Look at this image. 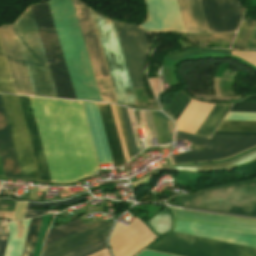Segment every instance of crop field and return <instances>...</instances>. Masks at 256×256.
<instances>
[{"label": "crop field", "mask_w": 256, "mask_h": 256, "mask_svg": "<svg viewBox=\"0 0 256 256\" xmlns=\"http://www.w3.org/2000/svg\"><path fill=\"white\" fill-rule=\"evenodd\" d=\"M230 111L256 112V104L235 103Z\"/></svg>", "instance_id": "crop-field-33"}, {"label": "crop field", "mask_w": 256, "mask_h": 256, "mask_svg": "<svg viewBox=\"0 0 256 256\" xmlns=\"http://www.w3.org/2000/svg\"><path fill=\"white\" fill-rule=\"evenodd\" d=\"M59 98L76 99L48 3L31 6Z\"/></svg>", "instance_id": "crop-field-7"}, {"label": "crop field", "mask_w": 256, "mask_h": 256, "mask_svg": "<svg viewBox=\"0 0 256 256\" xmlns=\"http://www.w3.org/2000/svg\"><path fill=\"white\" fill-rule=\"evenodd\" d=\"M48 3L76 98L101 102L71 0Z\"/></svg>", "instance_id": "crop-field-2"}, {"label": "crop field", "mask_w": 256, "mask_h": 256, "mask_svg": "<svg viewBox=\"0 0 256 256\" xmlns=\"http://www.w3.org/2000/svg\"><path fill=\"white\" fill-rule=\"evenodd\" d=\"M148 250L180 256H256V249L172 232Z\"/></svg>", "instance_id": "crop-field-8"}, {"label": "crop field", "mask_w": 256, "mask_h": 256, "mask_svg": "<svg viewBox=\"0 0 256 256\" xmlns=\"http://www.w3.org/2000/svg\"><path fill=\"white\" fill-rule=\"evenodd\" d=\"M110 105H111L112 113H113V116H114L115 124H116V127H117V131H118V134H119L120 142H121V145H122L124 157L128 158L125 143H124L122 132H121V128H120L118 117H117V114H116L115 106L112 105V104H110Z\"/></svg>", "instance_id": "crop-field-32"}, {"label": "crop field", "mask_w": 256, "mask_h": 256, "mask_svg": "<svg viewBox=\"0 0 256 256\" xmlns=\"http://www.w3.org/2000/svg\"><path fill=\"white\" fill-rule=\"evenodd\" d=\"M17 154L22 177L39 179L18 97L0 94Z\"/></svg>", "instance_id": "crop-field-10"}, {"label": "crop field", "mask_w": 256, "mask_h": 256, "mask_svg": "<svg viewBox=\"0 0 256 256\" xmlns=\"http://www.w3.org/2000/svg\"><path fill=\"white\" fill-rule=\"evenodd\" d=\"M86 199L87 197L84 196V197L72 198V199H68L60 202L43 203V204H35V203L28 202L24 218L47 213L46 211L29 210L30 207H55V206H61L66 204L80 203Z\"/></svg>", "instance_id": "crop-field-27"}, {"label": "crop field", "mask_w": 256, "mask_h": 256, "mask_svg": "<svg viewBox=\"0 0 256 256\" xmlns=\"http://www.w3.org/2000/svg\"><path fill=\"white\" fill-rule=\"evenodd\" d=\"M111 223L101 221L44 246L42 256H63L107 236Z\"/></svg>", "instance_id": "crop-field-13"}, {"label": "crop field", "mask_w": 256, "mask_h": 256, "mask_svg": "<svg viewBox=\"0 0 256 256\" xmlns=\"http://www.w3.org/2000/svg\"><path fill=\"white\" fill-rule=\"evenodd\" d=\"M72 3L94 73V77L98 78L108 76L88 12V8L78 0H72Z\"/></svg>", "instance_id": "crop-field-15"}, {"label": "crop field", "mask_w": 256, "mask_h": 256, "mask_svg": "<svg viewBox=\"0 0 256 256\" xmlns=\"http://www.w3.org/2000/svg\"><path fill=\"white\" fill-rule=\"evenodd\" d=\"M114 25L133 88L143 89V67L149 51L146 34L134 26L118 22H114Z\"/></svg>", "instance_id": "crop-field-11"}, {"label": "crop field", "mask_w": 256, "mask_h": 256, "mask_svg": "<svg viewBox=\"0 0 256 256\" xmlns=\"http://www.w3.org/2000/svg\"><path fill=\"white\" fill-rule=\"evenodd\" d=\"M8 234L0 236V256H4Z\"/></svg>", "instance_id": "crop-field-39"}, {"label": "crop field", "mask_w": 256, "mask_h": 256, "mask_svg": "<svg viewBox=\"0 0 256 256\" xmlns=\"http://www.w3.org/2000/svg\"><path fill=\"white\" fill-rule=\"evenodd\" d=\"M175 206L256 217V182L232 184L181 196Z\"/></svg>", "instance_id": "crop-field-4"}, {"label": "crop field", "mask_w": 256, "mask_h": 256, "mask_svg": "<svg viewBox=\"0 0 256 256\" xmlns=\"http://www.w3.org/2000/svg\"><path fill=\"white\" fill-rule=\"evenodd\" d=\"M0 39L16 93L34 95L12 25L0 27Z\"/></svg>", "instance_id": "crop-field-14"}, {"label": "crop field", "mask_w": 256, "mask_h": 256, "mask_svg": "<svg viewBox=\"0 0 256 256\" xmlns=\"http://www.w3.org/2000/svg\"><path fill=\"white\" fill-rule=\"evenodd\" d=\"M190 101L191 98H189L184 92L180 91L170 107L165 111L176 121Z\"/></svg>", "instance_id": "crop-field-29"}, {"label": "crop field", "mask_w": 256, "mask_h": 256, "mask_svg": "<svg viewBox=\"0 0 256 256\" xmlns=\"http://www.w3.org/2000/svg\"><path fill=\"white\" fill-rule=\"evenodd\" d=\"M113 159L114 167H121L125 164L114 120L109 104L97 103Z\"/></svg>", "instance_id": "crop-field-18"}, {"label": "crop field", "mask_w": 256, "mask_h": 256, "mask_svg": "<svg viewBox=\"0 0 256 256\" xmlns=\"http://www.w3.org/2000/svg\"><path fill=\"white\" fill-rule=\"evenodd\" d=\"M41 217L32 218L30 220L26 240L24 243L23 251L21 256H32Z\"/></svg>", "instance_id": "crop-field-25"}, {"label": "crop field", "mask_w": 256, "mask_h": 256, "mask_svg": "<svg viewBox=\"0 0 256 256\" xmlns=\"http://www.w3.org/2000/svg\"><path fill=\"white\" fill-rule=\"evenodd\" d=\"M217 130L256 131V121L223 120Z\"/></svg>", "instance_id": "crop-field-28"}, {"label": "crop field", "mask_w": 256, "mask_h": 256, "mask_svg": "<svg viewBox=\"0 0 256 256\" xmlns=\"http://www.w3.org/2000/svg\"><path fill=\"white\" fill-rule=\"evenodd\" d=\"M146 223L158 236L167 233L171 227V215L168 208L163 210L161 213H159Z\"/></svg>", "instance_id": "crop-field-23"}, {"label": "crop field", "mask_w": 256, "mask_h": 256, "mask_svg": "<svg viewBox=\"0 0 256 256\" xmlns=\"http://www.w3.org/2000/svg\"><path fill=\"white\" fill-rule=\"evenodd\" d=\"M0 157L6 176L21 177L16 154L0 99Z\"/></svg>", "instance_id": "crop-field-16"}, {"label": "crop field", "mask_w": 256, "mask_h": 256, "mask_svg": "<svg viewBox=\"0 0 256 256\" xmlns=\"http://www.w3.org/2000/svg\"><path fill=\"white\" fill-rule=\"evenodd\" d=\"M210 32L236 31L243 7L238 0H201ZM200 0H177L187 33L209 32Z\"/></svg>", "instance_id": "crop-field-3"}, {"label": "crop field", "mask_w": 256, "mask_h": 256, "mask_svg": "<svg viewBox=\"0 0 256 256\" xmlns=\"http://www.w3.org/2000/svg\"><path fill=\"white\" fill-rule=\"evenodd\" d=\"M138 256H170V255H165V254H160V253H155V252H149V251H143Z\"/></svg>", "instance_id": "crop-field-40"}, {"label": "crop field", "mask_w": 256, "mask_h": 256, "mask_svg": "<svg viewBox=\"0 0 256 256\" xmlns=\"http://www.w3.org/2000/svg\"><path fill=\"white\" fill-rule=\"evenodd\" d=\"M255 23L256 21L250 18H247L244 22H242L237 32L232 48H240V49L246 48Z\"/></svg>", "instance_id": "crop-field-26"}, {"label": "crop field", "mask_w": 256, "mask_h": 256, "mask_svg": "<svg viewBox=\"0 0 256 256\" xmlns=\"http://www.w3.org/2000/svg\"><path fill=\"white\" fill-rule=\"evenodd\" d=\"M215 134H228V135H256V132H230V131H216Z\"/></svg>", "instance_id": "crop-field-37"}, {"label": "crop field", "mask_w": 256, "mask_h": 256, "mask_svg": "<svg viewBox=\"0 0 256 256\" xmlns=\"http://www.w3.org/2000/svg\"><path fill=\"white\" fill-rule=\"evenodd\" d=\"M13 26L34 94L58 98L31 7L22 14Z\"/></svg>", "instance_id": "crop-field-5"}, {"label": "crop field", "mask_w": 256, "mask_h": 256, "mask_svg": "<svg viewBox=\"0 0 256 256\" xmlns=\"http://www.w3.org/2000/svg\"><path fill=\"white\" fill-rule=\"evenodd\" d=\"M120 111H121V115H122V118H123L126 133H127V136H128V140H129V144H130V147H131L132 155L134 156V155L138 154V152H137V148H136L135 141H134V138H133V134H132V130H131V127H130L129 120H128V116H127V113H126V109L124 107H120Z\"/></svg>", "instance_id": "crop-field-31"}, {"label": "crop field", "mask_w": 256, "mask_h": 256, "mask_svg": "<svg viewBox=\"0 0 256 256\" xmlns=\"http://www.w3.org/2000/svg\"><path fill=\"white\" fill-rule=\"evenodd\" d=\"M116 110H117V114H118V117H119L120 125H121V128H122L123 136H124V139H125L126 147H127V150H128L129 158H131L132 155H131L130 147H129V144H128L127 136H126V133H125V129H124V126H123V122H122V118H121L118 106H116Z\"/></svg>", "instance_id": "crop-field-36"}, {"label": "crop field", "mask_w": 256, "mask_h": 256, "mask_svg": "<svg viewBox=\"0 0 256 256\" xmlns=\"http://www.w3.org/2000/svg\"><path fill=\"white\" fill-rule=\"evenodd\" d=\"M246 49H256V25Z\"/></svg>", "instance_id": "crop-field-38"}, {"label": "crop field", "mask_w": 256, "mask_h": 256, "mask_svg": "<svg viewBox=\"0 0 256 256\" xmlns=\"http://www.w3.org/2000/svg\"><path fill=\"white\" fill-rule=\"evenodd\" d=\"M214 104L195 101L189 103L185 111L176 122L178 130L195 134Z\"/></svg>", "instance_id": "crop-field-17"}, {"label": "crop field", "mask_w": 256, "mask_h": 256, "mask_svg": "<svg viewBox=\"0 0 256 256\" xmlns=\"http://www.w3.org/2000/svg\"><path fill=\"white\" fill-rule=\"evenodd\" d=\"M15 203L16 202L11 199H0V210L13 211Z\"/></svg>", "instance_id": "crop-field-34"}, {"label": "crop field", "mask_w": 256, "mask_h": 256, "mask_svg": "<svg viewBox=\"0 0 256 256\" xmlns=\"http://www.w3.org/2000/svg\"><path fill=\"white\" fill-rule=\"evenodd\" d=\"M105 239H103L101 241H98V242H96L94 244H91V245H89L87 247H84V248H82L80 250H77V251H75L73 253L65 255V256H87L89 254H92V253H94L96 251H99V250H101V249L106 247Z\"/></svg>", "instance_id": "crop-field-30"}, {"label": "crop field", "mask_w": 256, "mask_h": 256, "mask_svg": "<svg viewBox=\"0 0 256 256\" xmlns=\"http://www.w3.org/2000/svg\"><path fill=\"white\" fill-rule=\"evenodd\" d=\"M89 11L116 102L123 105L137 106L113 22L90 8Z\"/></svg>", "instance_id": "crop-field-6"}, {"label": "crop field", "mask_w": 256, "mask_h": 256, "mask_svg": "<svg viewBox=\"0 0 256 256\" xmlns=\"http://www.w3.org/2000/svg\"><path fill=\"white\" fill-rule=\"evenodd\" d=\"M40 179L74 182L98 168L80 102L18 96Z\"/></svg>", "instance_id": "crop-field-1"}, {"label": "crop field", "mask_w": 256, "mask_h": 256, "mask_svg": "<svg viewBox=\"0 0 256 256\" xmlns=\"http://www.w3.org/2000/svg\"><path fill=\"white\" fill-rule=\"evenodd\" d=\"M256 160V150L229 160L223 163L217 164H209V165H198V166H188V167H177L176 169H191L193 171L199 170H215V169H223L229 167L239 166L241 164L249 163Z\"/></svg>", "instance_id": "crop-field-20"}, {"label": "crop field", "mask_w": 256, "mask_h": 256, "mask_svg": "<svg viewBox=\"0 0 256 256\" xmlns=\"http://www.w3.org/2000/svg\"><path fill=\"white\" fill-rule=\"evenodd\" d=\"M232 104H215L207 118L204 120L197 135L210 137L215 128L218 126L224 115L227 113Z\"/></svg>", "instance_id": "crop-field-19"}, {"label": "crop field", "mask_w": 256, "mask_h": 256, "mask_svg": "<svg viewBox=\"0 0 256 256\" xmlns=\"http://www.w3.org/2000/svg\"><path fill=\"white\" fill-rule=\"evenodd\" d=\"M177 139L203 145L201 150L172 155L176 164L217 160L230 157L256 145V136L213 135L210 140L177 132Z\"/></svg>", "instance_id": "crop-field-9"}, {"label": "crop field", "mask_w": 256, "mask_h": 256, "mask_svg": "<svg viewBox=\"0 0 256 256\" xmlns=\"http://www.w3.org/2000/svg\"><path fill=\"white\" fill-rule=\"evenodd\" d=\"M240 102L256 103V95L248 96L245 99L241 100Z\"/></svg>", "instance_id": "crop-field-41"}, {"label": "crop field", "mask_w": 256, "mask_h": 256, "mask_svg": "<svg viewBox=\"0 0 256 256\" xmlns=\"http://www.w3.org/2000/svg\"><path fill=\"white\" fill-rule=\"evenodd\" d=\"M0 92L16 94L1 43H0Z\"/></svg>", "instance_id": "crop-field-24"}, {"label": "crop field", "mask_w": 256, "mask_h": 256, "mask_svg": "<svg viewBox=\"0 0 256 256\" xmlns=\"http://www.w3.org/2000/svg\"><path fill=\"white\" fill-rule=\"evenodd\" d=\"M235 33L210 34V41L232 40Z\"/></svg>", "instance_id": "crop-field-35"}, {"label": "crop field", "mask_w": 256, "mask_h": 256, "mask_svg": "<svg viewBox=\"0 0 256 256\" xmlns=\"http://www.w3.org/2000/svg\"><path fill=\"white\" fill-rule=\"evenodd\" d=\"M84 227H86V225L84 223H82L79 219H77V220L72 221V222H70L68 224H65L63 226L50 229L47 233L45 244H47L49 242H52L56 239H59L63 236H66V235H68L72 232H75L79 229H82Z\"/></svg>", "instance_id": "crop-field-22"}, {"label": "crop field", "mask_w": 256, "mask_h": 256, "mask_svg": "<svg viewBox=\"0 0 256 256\" xmlns=\"http://www.w3.org/2000/svg\"><path fill=\"white\" fill-rule=\"evenodd\" d=\"M206 52H217V53L229 54V55H232V53H233V55L238 56L256 66V52H253V51H232V53H231V51H221V50L189 49V50L177 53V54L170 55L166 59L177 60V59L191 56L194 54H200V53H206Z\"/></svg>", "instance_id": "crop-field-21"}, {"label": "crop field", "mask_w": 256, "mask_h": 256, "mask_svg": "<svg viewBox=\"0 0 256 256\" xmlns=\"http://www.w3.org/2000/svg\"><path fill=\"white\" fill-rule=\"evenodd\" d=\"M126 227L117 222L110 237L114 256H134L158 238L137 218Z\"/></svg>", "instance_id": "crop-field-12"}]
</instances>
